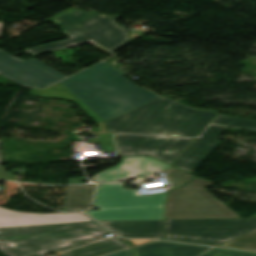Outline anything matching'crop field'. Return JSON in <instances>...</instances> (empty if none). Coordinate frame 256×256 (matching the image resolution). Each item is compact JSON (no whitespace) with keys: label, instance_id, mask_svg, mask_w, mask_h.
I'll list each match as a JSON object with an SVG mask.
<instances>
[{"label":"crop field","instance_id":"obj_1","mask_svg":"<svg viewBox=\"0 0 256 256\" xmlns=\"http://www.w3.org/2000/svg\"><path fill=\"white\" fill-rule=\"evenodd\" d=\"M61 84L105 121L160 97L126 80L106 61Z\"/></svg>","mask_w":256,"mask_h":256},{"label":"crop field","instance_id":"obj_2","mask_svg":"<svg viewBox=\"0 0 256 256\" xmlns=\"http://www.w3.org/2000/svg\"><path fill=\"white\" fill-rule=\"evenodd\" d=\"M215 116L161 97L106 123L110 132L196 137Z\"/></svg>","mask_w":256,"mask_h":256},{"label":"crop field","instance_id":"obj_3","mask_svg":"<svg viewBox=\"0 0 256 256\" xmlns=\"http://www.w3.org/2000/svg\"><path fill=\"white\" fill-rule=\"evenodd\" d=\"M106 233L94 222L3 228L0 229V251L6 256L61 253L103 239Z\"/></svg>","mask_w":256,"mask_h":256},{"label":"crop field","instance_id":"obj_4","mask_svg":"<svg viewBox=\"0 0 256 256\" xmlns=\"http://www.w3.org/2000/svg\"><path fill=\"white\" fill-rule=\"evenodd\" d=\"M118 18L78 9L68 11L50 21L58 24L70 39L25 49L24 52L37 55L90 43L110 54L132 42L126 28L114 22Z\"/></svg>","mask_w":256,"mask_h":256},{"label":"crop field","instance_id":"obj_5","mask_svg":"<svg viewBox=\"0 0 256 256\" xmlns=\"http://www.w3.org/2000/svg\"><path fill=\"white\" fill-rule=\"evenodd\" d=\"M125 183L98 186L94 205L99 211L87 212L98 221L162 219L167 193L140 195L125 191Z\"/></svg>","mask_w":256,"mask_h":256},{"label":"crop field","instance_id":"obj_6","mask_svg":"<svg viewBox=\"0 0 256 256\" xmlns=\"http://www.w3.org/2000/svg\"><path fill=\"white\" fill-rule=\"evenodd\" d=\"M166 239L220 246L256 229V219L165 220Z\"/></svg>","mask_w":256,"mask_h":256},{"label":"crop field","instance_id":"obj_7","mask_svg":"<svg viewBox=\"0 0 256 256\" xmlns=\"http://www.w3.org/2000/svg\"><path fill=\"white\" fill-rule=\"evenodd\" d=\"M212 184L197 177L170 191L165 219L240 218L204 189Z\"/></svg>","mask_w":256,"mask_h":256},{"label":"crop field","instance_id":"obj_8","mask_svg":"<svg viewBox=\"0 0 256 256\" xmlns=\"http://www.w3.org/2000/svg\"><path fill=\"white\" fill-rule=\"evenodd\" d=\"M193 138L118 135L119 157L148 155L170 164Z\"/></svg>","mask_w":256,"mask_h":256},{"label":"crop field","instance_id":"obj_9","mask_svg":"<svg viewBox=\"0 0 256 256\" xmlns=\"http://www.w3.org/2000/svg\"><path fill=\"white\" fill-rule=\"evenodd\" d=\"M0 74L23 87H46L65 75L31 58L24 61L0 50Z\"/></svg>","mask_w":256,"mask_h":256},{"label":"crop field","instance_id":"obj_10","mask_svg":"<svg viewBox=\"0 0 256 256\" xmlns=\"http://www.w3.org/2000/svg\"><path fill=\"white\" fill-rule=\"evenodd\" d=\"M209 247L159 241L133 248L134 256H198ZM202 256H256V253L213 248Z\"/></svg>","mask_w":256,"mask_h":256},{"label":"crop field","instance_id":"obj_11","mask_svg":"<svg viewBox=\"0 0 256 256\" xmlns=\"http://www.w3.org/2000/svg\"><path fill=\"white\" fill-rule=\"evenodd\" d=\"M168 166L150 157L121 158L117 166L96 175L91 180L96 182L126 181L131 177H146Z\"/></svg>","mask_w":256,"mask_h":256},{"label":"crop field","instance_id":"obj_12","mask_svg":"<svg viewBox=\"0 0 256 256\" xmlns=\"http://www.w3.org/2000/svg\"><path fill=\"white\" fill-rule=\"evenodd\" d=\"M225 129L215 125L209 126L174 165L189 172L193 171L221 143L217 138Z\"/></svg>","mask_w":256,"mask_h":256},{"label":"crop field","instance_id":"obj_13","mask_svg":"<svg viewBox=\"0 0 256 256\" xmlns=\"http://www.w3.org/2000/svg\"><path fill=\"white\" fill-rule=\"evenodd\" d=\"M92 221L80 213L37 215L0 208V228Z\"/></svg>","mask_w":256,"mask_h":256},{"label":"crop field","instance_id":"obj_14","mask_svg":"<svg viewBox=\"0 0 256 256\" xmlns=\"http://www.w3.org/2000/svg\"><path fill=\"white\" fill-rule=\"evenodd\" d=\"M115 234L126 238L164 237L162 220L100 222Z\"/></svg>","mask_w":256,"mask_h":256},{"label":"crop field","instance_id":"obj_15","mask_svg":"<svg viewBox=\"0 0 256 256\" xmlns=\"http://www.w3.org/2000/svg\"><path fill=\"white\" fill-rule=\"evenodd\" d=\"M95 185L69 186L63 211L90 207Z\"/></svg>","mask_w":256,"mask_h":256},{"label":"crop field","instance_id":"obj_16","mask_svg":"<svg viewBox=\"0 0 256 256\" xmlns=\"http://www.w3.org/2000/svg\"><path fill=\"white\" fill-rule=\"evenodd\" d=\"M125 247H129V246L123 241H121L119 238L112 237V238L99 241L97 243L85 246L83 248H80L74 251L62 253V255L63 256H97L100 254L115 251Z\"/></svg>","mask_w":256,"mask_h":256},{"label":"crop field","instance_id":"obj_17","mask_svg":"<svg viewBox=\"0 0 256 256\" xmlns=\"http://www.w3.org/2000/svg\"><path fill=\"white\" fill-rule=\"evenodd\" d=\"M29 95L74 100L78 106L96 122L103 121L59 83L48 89H32Z\"/></svg>","mask_w":256,"mask_h":256},{"label":"crop field","instance_id":"obj_18","mask_svg":"<svg viewBox=\"0 0 256 256\" xmlns=\"http://www.w3.org/2000/svg\"><path fill=\"white\" fill-rule=\"evenodd\" d=\"M212 123L230 127L256 129V121L254 120L225 115H219Z\"/></svg>","mask_w":256,"mask_h":256},{"label":"crop field","instance_id":"obj_19","mask_svg":"<svg viewBox=\"0 0 256 256\" xmlns=\"http://www.w3.org/2000/svg\"><path fill=\"white\" fill-rule=\"evenodd\" d=\"M222 246L256 250V230L235 240H232Z\"/></svg>","mask_w":256,"mask_h":256},{"label":"crop field","instance_id":"obj_20","mask_svg":"<svg viewBox=\"0 0 256 256\" xmlns=\"http://www.w3.org/2000/svg\"><path fill=\"white\" fill-rule=\"evenodd\" d=\"M165 174H166L172 188H178L179 186L183 185L187 181L196 177L192 174L184 172V171H182L180 169H177L175 167L165 171Z\"/></svg>","mask_w":256,"mask_h":256},{"label":"crop field","instance_id":"obj_21","mask_svg":"<svg viewBox=\"0 0 256 256\" xmlns=\"http://www.w3.org/2000/svg\"><path fill=\"white\" fill-rule=\"evenodd\" d=\"M90 143L100 142L104 151H115L110 139H97V140H90Z\"/></svg>","mask_w":256,"mask_h":256},{"label":"crop field","instance_id":"obj_22","mask_svg":"<svg viewBox=\"0 0 256 256\" xmlns=\"http://www.w3.org/2000/svg\"><path fill=\"white\" fill-rule=\"evenodd\" d=\"M0 179L3 180H18L17 177L11 175V174H7L3 171L2 166H0Z\"/></svg>","mask_w":256,"mask_h":256},{"label":"crop field","instance_id":"obj_23","mask_svg":"<svg viewBox=\"0 0 256 256\" xmlns=\"http://www.w3.org/2000/svg\"><path fill=\"white\" fill-rule=\"evenodd\" d=\"M105 256H131V251H130V248H129L127 250L112 253V254H108V255H105Z\"/></svg>","mask_w":256,"mask_h":256},{"label":"crop field","instance_id":"obj_24","mask_svg":"<svg viewBox=\"0 0 256 256\" xmlns=\"http://www.w3.org/2000/svg\"><path fill=\"white\" fill-rule=\"evenodd\" d=\"M85 180H86V178L69 179L68 184L82 183V181H85Z\"/></svg>","mask_w":256,"mask_h":256},{"label":"crop field","instance_id":"obj_25","mask_svg":"<svg viewBox=\"0 0 256 256\" xmlns=\"http://www.w3.org/2000/svg\"><path fill=\"white\" fill-rule=\"evenodd\" d=\"M97 124H98V126H99L100 132L108 133L107 128H106V126H105V123H104V122L97 123Z\"/></svg>","mask_w":256,"mask_h":256},{"label":"crop field","instance_id":"obj_26","mask_svg":"<svg viewBox=\"0 0 256 256\" xmlns=\"http://www.w3.org/2000/svg\"><path fill=\"white\" fill-rule=\"evenodd\" d=\"M3 163H2V159H1V153H0V165H2Z\"/></svg>","mask_w":256,"mask_h":256},{"label":"crop field","instance_id":"obj_27","mask_svg":"<svg viewBox=\"0 0 256 256\" xmlns=\"http://www.w3.org/2000/svg\"><path fill=\"white\" fill-rule=\"evenodd\" d=\"M2 23H0V29H1Z\"/></svg>","mask_w":256,"mask_h":256}]
</instances>
